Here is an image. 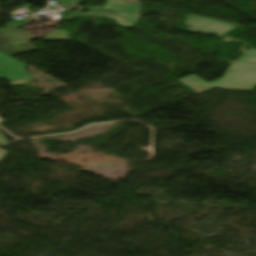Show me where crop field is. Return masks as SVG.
<instances>
[{
  "label": "crop field",
  "mask_w": 256,
  "mask_h": 256,
  "mask_svg": "<svg viewBox=\"0 0 256 256\" xmlns=\"http://www.w3.org/2000/svg\"><path fill=\"white\" fill-rule=\"evenodd\" d=\"M178 81L198 94L215 87L253 91L256 86V49H252L231 65L222 79L206 83L192 75Z\"/></svg>",
  "instance_id": "1"
},
{
  "label": "crop field",
  "mask_w": 256,
  "mask_h": 256,
  "mask_svg": "<svg viewBox=\"0 0 256 256\" xmlns=\"http://www.w3.org/2000/svg\"><path fill=\"white\" fill-rule=\"evenodd\" d=\"M25 66L0 52V78H4L11 84L34 81L33 77L25 72Z\"/></svg>",
  "instance_id": "2"
},
{
  "label": "crop field",
  "mask_w": 256,
  "mask_h": 256,
  "mask_svg": "<svg viewBox=\"0 0 256 256\" xmlns=\"http://www.w3.org/2000/svg\"><path fill=\"white\" fill-rule=\"evenodd\" d=\"M60 23H62V20H55L54 22H52V26H54V27H58V25L60 24Z\"/></svg>",
  "instance_id": "3"
},
{
  "label": "crop field",
  "mask_w": 256,
  "mask_h": 256,
  "mask_svg": "<svg viewBox=\"0 0 256 256\" xmlns=\"http://www.w3.org/2000/svg\"><path fill=\"white\" fill-rule=\"evenodd\" d=\"M7 152L0 149V160L4 157Z\"/></svg>",
  "instance_id": "4"
},
{
  "label": "crop field",
  "mask_w": 256,
  "mask_h": 256,
  "mask_svg": "<svg viewBox=\"0 0 256 256\" xmlns=\"http://www.w3.org/2000/svg\"><path fill=\"white\" fill-rule=\"evenodd\" d=\"M64 3H68V4H70L71 6H74V5H79V4H76V3H74V2H71V1H68V2H64Z\"/></svg>",
  "instance_id": "5"
},
{
  "label": "crop field",
  "mask_w": 256,
  "mask_h": 256,
  "mask_svg": "<svg viewBox=\"0 0 256 256\" xmlns=\"http://www.w3.org/2000/svg\"><path fill=\"white\" fill-rule=\"evenodd\" d=\"M127 1H134V2H139V0H127Z\"/></svg>",
  "instance_id": "6"
}]
</instances>
